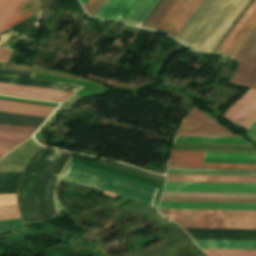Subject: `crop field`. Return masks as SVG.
<instances>
[{"mask_svg":"<svg viewBox=\"0 0 256 256\" xmlns=\"http://www.w3.org/2000/svg\"><path fill=\"white\" fill-rule=\"evenodd\" d=\"M70 154L38 145L23 172L18 191L23 223L40 222L56 214L53 194Z\"/></svg>","mask_w":256,"mask_h":256,"instance_id":"crop-field-1","label":"crop field"},{"mask_svg":"<svg viewBox=\"0 0 256 256\" xmlns=\"http://www.w3.org/2000/svg\"><path fill=\"white\" fill-rule=\"evenodd\" d=\"M251 0H203L174 38L212 53Z\"/></svg>","mask_w":256,"mask_h":256,"instance_id":"crop-field-2","label":"crop field"},{"mask_svg":"<svg viewBox=\"0 0 256 256\" xmlns=\"http://www.w3.org/2000/svg\"><path fill=\"white\" fill-rule=\"evenodd\" d=\"M61 178L102 189L118 196L122 195L149 204L153 207L155 206L160 190L156 187L70 161L68 162Z\"/></svg>","mask_w":256,"mask_h":256,"instance_id":"crop-field-3","label":"crop field"},{"mask_svg":"<svg viewBox=\"0 0 256 256\" xmlns=\"http://www.w3.org/2000/svg\"><path fill=\"white\" fill-rule=\"evenodd\" d=\"M158 210L182 228L256 229V211Z\"/></svg>","mask_w":256,"mask_h":256,"instance_id":"crop-field-4","label":"crop field"},{"mask_svg":"<svg viewBox=\"0 0 256 256\" xmlns=\"http://www.w3.org/2000/svg\"><path fill=\"white\" fill-rule=\"evenodd\" d=\"M205 156L256 157V153L205 152ZM204 152H172L168 167L183 168H222V169H256V158L205 157L204 163L234 164H203Z\"/></svg>","mask_w":256,"mask_h":256,"instance_id":"crop-field-5","label":"crop field"},{"mask_svg":"<svg viewBox=\"0 0 256 256\" xmlns=\"http://www.w3.org/2000/svg\"><path fill=\"white\" fill-rule=\"evenodd\" d=\"M255 29L256 0L249 6L215 53L227 57H235Z\"/></svg>","mask_w":256,"mask_h":256,"instance_id":"crop-field-6","label":"crop field"},{"mask_svg":"<svg viewBox=\"0 0 256 256\" xmlns=\"http://www.w3.org/2000/svg\"><path fill=\"white\" fill-rule=\"evenodd\" d=\"M176 136L238 137L196 108L185 118Z\"/></svg>","mask_w":256,"mask_h":256,"instance_id":"crop-field-7","label":"crop field"},{"mask_svg":"<svg viewBox=\"0 0 256 256\" xmlns=\"http://www.w3.org/2000/svg\"><path fill=\"white\" fill-rule=\"evenodd\" d=\"M235 58L239 64L230 83L246 86L256 71V30ZM247 87L256 89V73Z\"/></svg>","mask_w":256,"mask_h":256,"instance_id":"crop-field-8","label":"crop field"},{"mask_svg":"<svg viewBox=\"0 0 256 256\" xmlns=\"http://www.w3.org/2000/svg\"><path fill=\"white\" fill-rule=\"evenodd\" d=\"M41 9L42 6L39 0H0V29L9 25L10 23L17 20L18 18H20L21 16L25 15L28 12L33 14ZM29 13L21 17L17 21L13 22L9 26L11 27L18 23L19 21L26 18L27 16L31 15ZM3 31H1L0 33H2Z\"/></svg>","mask_w":256,"mask_h":256,"instance_id":"crop-field-9","label":"crop field"},{"mask_svg":"<svg viewBox=\"0 0 256 256\" xmlns=\"http://www.w3.org/2000/svg\"><path fill=\"white\" fill-rule=\"evenodd\" d=\"M164 191L256 193V184L167 182Z\"/></svg>","mask_w":256,"mask_h":256,"instance_id":"crop-field-10","label":"crop field"},{"mask_svg":"<svg viewBox=\"0 0 256 256\" xmlns=\"http://www.w3.org/2000/svg\"><path fill=\"white\" fill-rule=\"evenodd\" d=\"M201 248L256 249V241L194 240ZM208 256H256V250L203 249Z\"/></svg>","mask_w":256,"mask_h":256,"instance_id":"crop-field-11","label":"crop field"},{"mask_svg":"<svg viewBox=\"0 0 256 256\" xmlns=\"http://www.w3.org/2000/svg\"><path fill=\"white\" fill-rule=\"evenodd\" d=\"M223 117L231 121L236 119L235 124H240L249 130L256 122V90L249 89Z\"/></svg>","mask_w":256,"mask_h":256,"instance_id":"crop-field-12","label":"crop field"},{"mask_svg":"<svg viewBox=\"0 0 256 256\" xmlns=\"http://www.w3.org/2000/svg\"><path fill=\"white\" fill-rule=\"evenodd\" d=\"M201 1L178 0L156 30L174 37Z\"/></svg>","mask_w":256,"mask_h":256,"instance_id":"crop-field-13","label":"crop field"},{"mask_svg":"<svg viewBox=\"0 0 256 256\" xmlns=\"http://www.w3.org/2000/svg\"><path fill=\"white\" fill-rule=\"evenodd\" d=\"M0 94L63 102L74 93L0 83Z\"/></svg>","mask_w":256,"mask_h":256,"instance_id":"crop-field-14","label":"crop field"},{"mask_svg":"<svg viewBox=\"0 0 256 256\" xmlns=\"http://www.w3.org/2000/svg\"><path fill=\"white\" fill-rule=\"evenodd\" d=\"M137 0H107L95 18L122 22Z\"/></svg>","mask_w":256,"mask_h":256,"instance_id":"crop-field-15","label":"crop field"},{"mask_svg":"<svg viewBox=\"0 0 256 256\" xmlns=\"http://www.w3.org/2000/svg\"><path fill=\"white\" fill-rule=\"evenodd\" d=\"M158 208L256 210V204L161 202Z\"/></svg>","mask_w":256,"mask_h":256,"instance_id":"crop-field-16","label":"crop field"},{"mask_svg":"<svg viewBox=\"0 0 256 256\" xmlns=\"http://www.w3.org/2000/svg\"><path fill=\"white\" fill-rule=\"evenodd\" d=\"M167 181L256 183V177L166 175Z\"/></svg>","mask_w":256,"mask_h":256,"instance_id":"crop-field-17","label":"crop field"},{"mask_svg":"<svg viewBox=\"0 0 256 256\" xmlns=\"http://www.w3.org/2000/svg\"><path fill=\"white\" fill-rule=\"evenodd\" d=\"M55 108L0 101V111L48 117Z\"/></svg>","mask_w":256,"mask_h":256,"instance_id":"crop-field-18","label":"crop field"},{"mask_svg":"<svg viewBox=\"0 0 256 256\" xmlns=\"http://www.w3.org/2000/svg\"><path fill=\"white\" fill-rule=\"evenodd\" d=\"M36 129L0 124V141L20 144Z\"/></svg>","mask_w":256,"mask_h":256,"instance_id":"crop-field-19","label":"crop field"},{"mask_svg":"<svg viewBox=\"0 0 256 256\" xmlns=\"http://www.w3.org/2000/svg\"><path fill=\"white\" fill-rule=\"evenodd\" d=\"M46 118L0 112V123L38 128Z\"/></svg>","mask_w":256,"mask_h":256,"instance_id":"crop-field-20","label":"crop field"},{"mask_svg":"<svg viewBox=\"0 0 256 256\" xmlns=\"http://www.w3.org/2000/svg\"><path fill=\"white\" fill-rule=\"evenodd\" d=\"M174 143L248 144L242 138L175 137Z\"/></svg>","mask_w":256,"mask_h":256,"instance_id":"crop-field-21","label":"crop field"},{"mask_svg":"<svg viewBox=\"0 0 256 256\" xmlns=\"http://www.w3.org/2000/svg\"><path fill=\"white\" fill-rule=\"evenodd\" d=\"M176 1L177 0H162L143 27L155 30Z\"/></svg>","mask_w":256,"mask_h":256,"instance_id":"crop-field-22","label":"crop field"},{"mask_svg":"<svg viewBox=\"0 0 256 256\" xmlns=\"http://www.w3.org/2000/svg\"><path fill=\"white\" fill-rule=\"evenodd\" d=\"M162 196L256 198V194L164 192Z\"/></svg>","mask_w":256,"mask_h":256,"instance_id":"crop-field-23","label":"crop field"},{"mask_svg":"<svg viewBox=\"0 0 256 256\" xmlns=\"http://www.w3.org/2000/svg\"><path fill=\"white\" fill-rule=\"evenodd\" d=\"M15 218H20L16 205L0 207V220Z\"/></svg>","mask_w":256,"mask_h":256,"instance_id":"crop-field-24","label":"crop field"},{"mask_svg":"<svg viewBox=\"0 0 256 256\" xmlns=\"http://www.w3.org/2000/svg\"><path fill=\"white\" fill-rule=\"evenodd\" d=\"M11 204H16V194L0 196V206L11 205Z\"/></svg>","mask_w":256,"mask_h":256,"instance_id":"crop-field-25","label":"crop field"},{"mask_svg":"<svg viewBox=\"0 0 256 256\" xmlns=\"http://www.w3.org/2000/svg\"><path fill=\"white\" fill-rule=\"evenodd\" d=\"M105 1L106 0H95V2L87 11V13L94 17V15L97 13V11L100 9V7L103 5Z\"/></svg>","mask_w":256,"mask_h":256,"instance_id":"crop-field-26","label":"crop field"},{"mask_svg":"<svg viewBox=\"0 0 256 256\" xmlns=\"http://www.w3.org/2000/svg\"><path fill=\"white\" fill-rule=\"evenodd\" d=\"M16 144H9V143H1L0 142V156L4 155L14 147H16Z\"/></svg>","mask_w":256,"mask_h":256,"instance_id":"crop-field-27","label":"crop field"},{"mask_svg":"<svg viewBox=\"0 0 256 256\" xmlns=\"http://www.w3.org/2000/svg\"><path fill=\"white\" fill-rule=\"evenodd\" d=\"M10 53V50L0 49V61L6 62Z\"/></svg>","mask_w":256,"mask_h":256,"instance_id":"crop-field-28","label":"crop field"},{"mask_svg":"<svg viewBox=\"0 0 256 256\" xmlns=\"http://www.w3.org/2000/svg\"><path fill=\"white\" fill-rule=\"evenodd\" d=\"M13 229H14V228L7 229L6 226H2V227H0V234L13 232Z\"/></svg>","mask_w":256,"mask_h":256,"instance_id":"crop-field-29","label":"crop field"},{"mask_svg":"<svg viewBox=\"0 0 256 256\" xmlns=\"http://www.w3.org/2000/svg\"><path fill=\"white\" fill-rule=\"evenodd\" d=\"M55 201H56V205H57V211L60 212L61 210H63V208H62V206L59 202V199L57 197V193H56Z\"/></svg>","mask_w":256,"mask_h":256,"instance_id":"crop-field-30","label":"crop field"},{"mask_svg":"<svg viewBox=\"0 0 256 256\" xmlns=\"http://www.w3.org/2000/svg\"><path fill=\"white\" fill-rule=\"evenodd\" d=\"M248 133H250L256 137V123L251 127V129L248 131Z\"/></svg>","mask_w":256,"mask_h":256,"instance_id":"crop-field-31","label":"crop field"},{"mask_svg":"<svg viewBox=\"0 0 256 256\" xmlns=\"http://www.w3.org/2000/svg\"><path fill=\"white\" fill-rule=\"evenodd\" d=\"M94 2V0H89V2L86 4V6L84 7L85 10L87 11L88 8L91 6V4Z\"/></svg>","mask_w":256,"mask_h":256,"instance_id":"crop-field-32","label":"crop field"},{"mask_svg":"<svg viewBox=\"0 0 256 256\" xmlns=\"http://www.w3.org/2000/svg\"><path fill=\"white\" fill-rule=\"evenodd\" d=\"M104 195H105V196H109V197H113V198L118 197V196H115V195H113V194L107 193V192H105V191H104Z\"/></svg>","mask_w":256,"mask_h":256,"instance_id":"crop-field-33","label":"crop field"},{"mask_svg":"<svg viewBox=\"0 0 256 256\" xmlns=\"http://www.w3.org/2000/svg\"><path fill=\"white\" fill-rule=\"evenodd\" d=\"M79 1L82 3L83 7H84L85 4L88 2V0H79Z\"/></svg>","mask_w":256,"mask_h":256,"instance_id":"crop-field-34","label":"crop field"}]
</instances>
